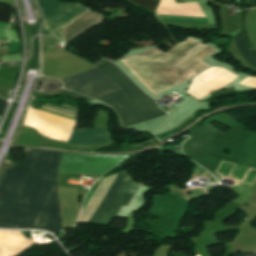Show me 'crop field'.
Masks as SVG:
<instances>
[{
    "instance_id": "7",
    "label": "crop field",
    "mask_w": 256,
    "mask_h": 256,
    "mask_svg": "<svg viewBox=\"0 0 256 256\" xmlns=\"http://www.w3.org/2000/svg\"><path fill=\"white\" fill-rule=\"evenodd\" d=\"M77 145H90L107 142L104 128H94L89 130H74L69 141Z\"/></svg>"
},
{
    "instance_id": "9",
    "label": "crop field",
    "mask_w": 256,
    "mask_h": 256,
    "mask_svg": "<svg viewBox=\"0 0 256 256\" xmlns=\"http://www.w3.org/2000/svg\"><path fill=\"white\" fill-rule=\"evenodd\" d=\"M130 1L134 2L137 5L143 6L145 8H148L154 11L160 0H130Z\"/></svg>"
},
{
    "instance_id": "8",
    "label": "crop field",
    "mask_w": 256,
    "mask_h": 256,
    "mask_svg": "<svg viewBox=\"0 0 256 256\" xmlns=\"http://www.w3.org/2000/svg\"><path fill=\"white\" fill-rule=\"evenodd\" d=\"M240 55L247 61V63L256 69V58L250 53L245 45L244 38L241 31L233 37Z\"/></svg>"
},
{
    "instance_id": "6",
    "label": "crop field",
    "mask_w": 256,
    "mask_h": 256,
    "mask_svg": "<svg viewBox=\"0 0 256 256\" xmlns=\"http://www.w3.org/2000/svg\"><path fill=\"white\" fill-rule=\"evenodd\" d=\"M102 19L103 15L92 11L81 17L80 19L74 21L73 23L69 24L68 26L62 28V30L65 34L67 41L69 42L73 38L89 30L92 26L101 23Z\"/></svg>"
},
{
    "instance_id": "10",
    "label": "crop field",
    "mask_w": 256,
    "mask_h": 256,
    "mask_svg": "<svg viewBox=\"0 0 256 256\" xmlns=\"http://www.w3.org/2000/svg\"><path fill=\"white\" fill-rule=\"evenodd\" d=\"M234 256H256V252H244L243 255L236 254V251H233Z\"/></svg>"
},
{
    "instance_id": "1",
    "label": "crop field",
    "mask_w": 256,
    "mask_h": 256,
    "mask_svg": "<svg viewBox=\"0 0 256 256\" xmlns=\"http://www.w3.org/2000/svg\"><path fill=\"white\" fill-rule=\"evenodd\" d=\"M25 152V162L0 176V228L25 229L35 150ZM61 153L36 150L26 229H64L56 184Z\"/></svg>"
},
{
    "instance_id": "3",
    "label": "crop field",
    "mask_w": 256,
    "mask_h": 256,
    "mask_svg": "<svg viewBox=\"0 0 256 256\" xmlns=\"http://www.w3.org/2000/svg\"><path fill=\"white\" fill-rule=\"evenodd\" d=\"M125 174H119L116 179L114 180L111 188L108 190L103 202L98 207V209L95 211L93 216L88 220V222H95L98 223L102 220L103 216L107 213L108 209L112 205L115 197L123 187L124 183L123 180L125 178ZM127 180V177L125 181ZM137 188V185L132 183L131 180L128 178L126 184L118 194L114 204L109 209L108 213L105 215L104 219L101 221L100 224L108 225L111 220L115 217V215L118 213L120 207L122 205L127 206L128 202L130 201L131 197L133 196L135 190Z\"/></svg>"
},
{
    "instance_id": "11",
    "label": "crop field",
    "mask_w": 256,
    "mask_h": 256,
    "mask_svg": "<svg viewBox=\"0 0 256 256\" xmlns=\"http://www.w3.org/2000/svg\"><path fill=\"white\" fill-rule=\"evenodd\" d=\"M6 103H7L6 101L0 100V116L5 109Z\"/></svg>"
},
{
    "instance_id": "4",
    "label": "crop field",
    "mask_w": 256,
    "mask_h": 256,
    "mask_svg": "<svg viewBox=\"0 0 256 256\" xmlns=\"http://www.w3.org/2000/svg\"><path fill=\"white\" fill-rule=\"evenodd\" d=\"M65 88L96 98L120 90L103 72L92 68L61 79Z\"/></svg>"
},
{
    "instance_id": "5",
    "label": "crop field",
    "mask_w": 256,
    "mask_h": 256,
    "mask_svg": "<svg viewBox=\"0 0 256 256\" xmlns=\"http://www.w3.org/2000/svg\"><path fill=\"white\" fill-rule=\"evenodd\" d=\"M128 159L126 156H92L64 154L60 169L67 172L104 174L117 164Z\"/></svg>"
},
{
    "instance_id": "2",
    "label": "crop field",
    "mask_w": 256,
    "mask_h": 256,
    "mask_svg": "<svg viewBox=\"0 0 256 256\" xmlns=\"http://www.w3.org/2000/svg\"><path fill=\"white\" fill-rule=\"evenodd\" d=\"M97 67L106 73L122 89L110 94V96L135 124L166 115L165 112L158 108L155 101L144 94L117 66L107 61ZM110 96L107 95L96 99L113 106L120 114L124 126L134 125Z\"/></svg>"
},
{
    "instance_id": "12",
    "label": "crop field",
    "mask_w": 256,
    "mask_h": 256,
    "mask_svg": "<svg viewBox=\"0 0 256 256\" xmlns=\"http://www.w3.org/2000/svg\"><path fill=\"white\" fill-rule=\"evenodd\" d=\"M256 6V0H254L253 4H252V7H255Z\"/></svg>"
}]
</instances>
